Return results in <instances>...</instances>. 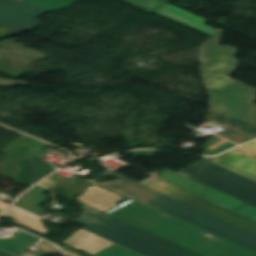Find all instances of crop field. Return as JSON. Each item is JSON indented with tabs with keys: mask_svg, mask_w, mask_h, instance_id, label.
I'll return each mask as SVG.
<instances>
[{
	"mask_svg": "<svg viewBox=\"0 0 256 256\" xmlns=\"http://www.w3.org/2000/svg\"><path fill=\"white\" fill-rule=\"evenodd\" d=\"M13 1H17V0H0V5L6 4V3H9V2H13Z\"/></svg>",
	"mask_w": 256,
	"mask_h": 256,
	"instance_id": "25",
	"label": "crop field"
},
{
	"mask_svg": "<svg viewBox=\"0 0 256 256\" xmlns=\"http://www.w3.org/2000/svg\"><path fill=\"white\" fill-rule=\"evenodd\" d=\"M184 175L256 207V181L206 159L184 170Z\"/></svg>",
	"mask_w": 256,
	"mask_h": 256,
	"instance_id": "4",
	"label": "crop field"
},
{
	"mask_svg": "<svg viewBox=\"0 0 256 256\" xmlns=\"http://www.w3.org/2000/svg\"><path fill=\"white\" fill-rule=\"evenodd\" d=\"M46 190L48 189L40 185H36L17 202H15L14 205L41 216L45 214V212L42 211L44 209L38 206L46 200V195L42 194V192Z\"/></svg>",
	"mask_w": 256,
	"mask_h": 256,
	"instance_id": "15",
	"label": "crop field"
},
{
	"mask_svg": "<svg viewBox=\"0 0 256 256\" xmlns=\"http://www.w3.org/2000/svg\"><path fill=\"white\" fill-rule=\"evenodd\" d=\"M232 210L256 220V208L247 203H244Z\"/></svg>",
	"mask_w": 256,
	"mask_h": 256,
	"instance_id": "19",
	"label": "crop field"
},
{
	"mask_svg": "<svg viewBox=\"0 0 256 256\" xmlns=\"http://www.w3.org/2000/svg\"><path fill=\"white\" fill-rule=\"evenodd\" d=\"M144 12H154L182 25L203 32L210 36L214 35L216 29L205 25L206 19L192 13L179 9L159 0H121Z\"/></svg>",
	"mask_w": 256,
	"mask_h": 256,
	"instance_id": "6",
	"label": "crop field"
},
{
	"mask_svg": "<svg viewBox=\"0 0 256 256\" xmlns=\"http://www.w3.org/2000/svg\"><path fill=\"white\" fill-rule=\"evenodd\" d=\"M221 165L256 179V159L245 153L240 147L215 158L207 157Z\"/></svg>",
	"mask_w": 256,
	"mask_h": 256,
	"instance_id": "10",
	"label": "crop field"
},
{
	"mask_svg": "<svg viewBox=\"0 0 256 256\" xmlns=\"http://www.w3.org/2000/svg\"><path fill=\"white\" fill-rule=\"evenodd\" d=\"M162 1L168 3V2H171V1H174V0H162Z\"/></svg>",
	"mask_w": 256,
	"mask_h": 256,
	"instance_id": "28",
	"label": "crop field"
},
{
	"mask_svg": "<svg viewBox=\"0 0 256 256\" xmlns=\"http://www.w3.org/2000/svg\"><path fill=\"white\" fill-rule=\"evenodd\" d=\"M254 155H256V153Z\"/></svg>",
	"mask_w": 256,
	"mask_h": 256,
	"instance_id": "29",
	"label": "crop field"
},
{
	"mask_svg": "<svg viewBox=\"0 0 256 256\" xmlns=\"http://www.w3.org/2000/svg\"><path fill=\"white\" fill-rule=\"evenodd\" d=\"M0 217H9L14 223L31 228L44 235L48 233L40 218L16 207L8 208Z\"/></svg>",
	"mask_w": 256,
	"mask_h": 256,
	"instance_id": "13",
	"label": "crop field"
},
{
	"mask_svg": "<svg viewBox=\"0 0 256 256\" xmlns=\"http://www.w3.org/2000/svg\"><path fill=\"white\" fill-rule=\"evenodd\" d=\"M92 256H141L117 244H114Z\"/></svg>",
	"mask_w": 256,
	"mask_h": 256,
	"instance_id": "18",
	"label": "crop field"
},
{
	"mask_svg": "<svg viewBox=\"0 0 256 256\" xmlns=\"http://www.w3.org/2000/svg\"><path fill=\"white\" fill-rule=\"evenodd\" d=\"M38 240L39 238L21 231L8 239H0V248L19 256Z\"/></svg>",
	"mask_w": 256,
	"mask_h": 256,
	"instance_id": "14",
	"label": "crop field"
},
{
	"mask_svg": "<svg viewBox=\"0 0 256 256\" xmlns=\"http://www.w3.org/2000/svg\"><path fill=\"white\" fill-rule=\"evenodd\" d=\"M18 84H29V83H23V82L12 81V80L0 78V87H10V86L18 85Z\"/></svg>",
	"mask_w": 256,
	"mask_h": 256,
	"instance_id": "22",
	"label": "crop field"
},
{
	"mask_svg": "<svg viewBox=\"0 0 256 256\" xmlns=\"http://www.w3.org/2000/svg\"><path fill=\"white\" fill-rule=\"evenodd\" d=\"M152 189H155L161 193H164L172 198H175L187 205H190L200 211H203L209 215L217 217L221 220L229 222L233 225H237L248 231L256 234V221L246 218L237 213L231 212L219 205H216L208 200L193 195L183 189L175 187L157 177H150L145 181L141 182Z\"/></svg>",
	"mask_w": 256,
	"mask_h": 256,
	"instance_id": "5",
	"label": "crop field"
},
{
	"mask_svg": "<svg viewBox=\"0 0 256 256\" xmlns=\"http://www.w3.org/2000/svg\"><path fill=\"white\" fill-rule=\"evenodd\" d=\"M63 249V248H62ZM63 251H64V253L67 255V256H79V255H76V254H74V253H72V252H70V251H67V250H65V249H63Z\"/></svg>",
	"mask_w": 256,
	"mask_h": 256,
	"instance_id": "24",
	"label": "crop field"
},
{
	"mask_svg": "<svg viewBox=\"0 0 256 256\" xmlns=\"http://www.w3.org/2000/svg\"><path fill=\"white\" fill-rule=\"evenodd\" d=\"M44 154L39 153L27 159L16 160L21 165L17 178L21 180L26 186H31L55 168L50 164L44 165L38 158Z\"/></svg>",
	"mask_w": 256,
	"mask_h": 256,
	"instance_id": "11",
	"label": "crop field"
},
{
	"mask_svg": "<svg viewBox=\"0 0 256 256\" xmlns=\"http://www.w3.org/2000/svg\"><path fill=\"white\" fill-rule=\"evenodd\" d=\"M242 147L245 148L250 154H253L256 152V141L243 145Z\"/></svg>",
	"mask_w": 256,
	"mask_h": 256,
	"instance_id": "23",
	"label": "crop field"
},
{
	"mask_svg": "<svg viewBox=\"0 0 256 256\" xmlns=\"http://www.w3.org/2000/svg\"><path fill=\"white\" fill-rule=\"evenodd\" d=\"M21 256H37V255L32 254V253H30V252L26 251V252H25V253H23Z\"/></svg>",
	"mask_w": 256,
	"mask_h": 256,
	"instance_id": "26",
	"label": "crop field"
},
{
	"mask_svg": "<svg viewBox=\"0 0 256 256\" xmlns=\"http://www.w3.org/2000/svg\"><path fill=\"white\" fill-rule=\"evenodd\" d=\"M49 11L58 10L70 6L77 0H25Z\"/></svg>",
	"mask_w": 256,
	"mask_h": 256,
	"instance_id": "17",
	"label": "crop field"
},
{
	"mask_svg": "<svg viewBox=\"0 0 256 256\" xmlns=\"http://www.w3.org/2000/svg\"><path fill=\"white\" fill-rule=\"evenodd\" d=\"M1 29H4L6 31L5 32L0 31V39L4 38V37H7V36H11V35L17 34V33L24 32V31H22L20 29H17V28H15L13 26H10V25L5 24V23L0 21V30Z\"/></svg>",
	"mask_w": 256,
	"mask_h": 256,
	"instance_id": "20",
	"label": "crop field"
},
{
	"mask_svg": "<svg viewBox=\"0 0 256 256\" xmlns=\"http://www.w3.org/2000/svg\"><path fill=\"white\" fill-rule=\"evenodd\" d=\"M0 256H12V255H10V254H8V253H5V252H3V251H0Z\"/></svg>",
	"mask_w": 256,
	"mask_h": 256,
	"instance_id": "27",
	"label": "crop field"
},
{
	"mask_svg": "<svg viewBox=\"0 0 256 256\" xmlns=\"http://www.w3.org/2000/svg\"><path fill=\"white\" fill-rule=\"evenodd\" d=\"M118 180L101 183L207 231L217 237L136 201H128L108 214L133 224L202 256H256V235L202 213L175 199L137 184L110 170Z\"/></svg>",
	"mask_w": 256,
	"mask_h": 256,
	"instance_id": "1",
	"label": "crop field"
},
{
	"mask_svg": "<svg viewBox=\"0 0 256 256\" xmlns=\"http://www.w3.org/2000/svg\"><path fill=\"white\" fill-rule=\"evenodd\" d=\"M158 175L162 176L160 178H163L181 188L192 191L206 199L217 202L229 209H232L244 203L238 199L228 196L222 192H219L194 180L188 179L168 169L160 172Z\"/></svg>",
	"mask_w": 256,
	"mask_h": 256,
	"instance_id": "8",
	"label": "crop field"
},
{
	"mask_svg": "<svg viewBox=\"0 0 256 256\" xmlns=\"http://www.w3.org/2000/svg\"><path fill=\"white\" fill-rule=\"evenodd\" d=\"M34 248L39 249L41 251H44L46 253H49V252H52V253L59 252L58 249L55 246H53V245H51V244H49V243H47V242H45L43 240L39 244H37Z\"/></svg>",
	"mask_w": 256,
	"mask_h": 256,
	"instance_id": "21",
	"label": "crop field"
},
{
	"mask_svg": "<svg viewBox=\"0 0 256 256\" xmlns=\"http://www.w3.org/2000/svg\"><path fill=\"white\" fill-rule=\"evenodd\" d=\"M222 30L200 46L198 60L203 81L211 97L210 108L256 126V90L228 78L238 60L236 48L219 46Z\"/></svg>",
	"mask_w": 256,
	"mask_h": 256,
	"instance_id": "2",
	"label": "crop field"
},
{
	"mask_svg": "<svg viewBox=\"0 0 256 256\" xmlns=\"http://www.w3.org/2000/svg\"><path fill=\"white\" fill-rule=\"evenodd\" d=\"M207 120L226 128L217 135L238 144L256 139V127L241 120L226 116L212 109L207 114Z\"/></svg>",
	"mask_w": 256,
	"mask_h": 256,
	"instance_id": "9",
	"label": "crop field"
},
{
	"mask_svg": "<svg viewBox=\"0 0 256 256\" xmlns=\"http://www.w3.org/2000/svg\"><path fill=\"white\" fill-rule=\"evenodd\" d=\"M236 145L227 142L218 137H212L206 142V146L203 150L204 155H215L227 149H230Z\"/></svg>",
	"mask_w": 256,
	"mask_h": 256,
	"instance_id": "16",
	"label": "crop field"
},
{
	"mask_svg": "<svg viewBox=\"0 0 256 256\" xmlns=\"http://www.w3.org/2000/svg\"><path fill=\"white\" fill-rule=\"evenodd\" d=\"M81 210L84 212L75 220L59 212L53 215L61 214L83 229L144 256H200L88 205Z\"/></svg>",
	"mask_w": 256,
	"mask_h": 256,
	"instance_id": "3",
	"label": "crop field"
},
{
	"mask_svg": "<svg viewBox=\"0 0 256 256\" xmlns=\"http://www.w3.org/2000/svg\"><path fill=\"white\" fill-rule=\"evenodd\" d=\"M122 199V196L113 191L93 185L80 196H78L75 200L105 212L117 206L116 203Z\"/></svg>",
	"mask_w": 256,
	"mask_h": 256,
	"instance_id": "12",
	"label": "crop field"
},
{
	"mask_svg": "<svg viewBox=\"0 0 256 256\" xmlns=\"http://www.w3.org/2000/svg\"><path fill=\"white\" fill-rule=\"evenodd\" d=\"M49 12L25 1L0 7V20L22 30L31 31L40 26L38 16Z\"/></svg>",
	"mask_w": 256,
	"mask_h": 256,
	"instance_id": "7",
	"label": "crop field"
}]
</instances>
